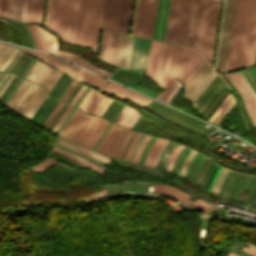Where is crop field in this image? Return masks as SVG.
Instances as JSON below:
<instances>
[{"label": "crop field", "instance_id": "obj_1", "mask_svg": "<svg viewBox=\"0 0 256 256\" xmlns=\"http://www.w3.org/2000/svg\"><path fill=\"white\" fill-rule=\"evenodd\" d=\"M255 52L256 0H238L227 71L254 65Z\"/></svg>", "mask_w": 256, "mask_h": 256}, {"label": "crop field", "instance_id": "obj_2", "mask_svg": "<svg viewBox=\"0 0 256 256\" xmlns=\"http://www.w3.org/2000/svg\"><path fill=\"white\" fill-rule=\"evenodd\" d=\"M202 1H170L164 41L196 45Z\"/></svg>", "mask_w": 256, "mask_h": 256}, {"label": "crop field", "instance_id": "obj_3", "mask_svg": "<svg viewBox=\"0 0 256 256\" xmlns=\"http://www.w3.org/2000/svg\"><path fill=\"white\" fill-rule=\"evenodd\" d=\"M80 0H48L44 26L65 41H74Z\"/></svg>", "mask_w": 256, "mask_h": 256}, {"label": "crop field", "instance_id": "obj_4", "mask_svg": "<svg viewBox=\"0 0 256 256\" xmlns=\"http://www.w3.org/2000/svg\"><path fill=\"white\" fill-rule=\"evenodd\" d=\"M104 0H81L75 45L96 52Z\"/></svg>", "mask_w": 256, "mask_h": 256}, {"label": "crop field", "instance_id": "obj_5", "mask_svg": "<svg viewBox=\"0 0 256 256\" xmlns=\"http://www.w3.org/2000/svg\"><path fill=\"white\" fill-rule=\"evenodd\" d=\"M222 1L204 0L196 49L212 65ZM208 62V63H209Z\"/></svg>", "mask_w": 256, "mask_h": 256}, {"label": "crop field", "instance_id": "obj_6", "mask_svg": "<svg viewBox=\"0 0 256 256\" xmlns=\"http://www.w3.org/2000/svg\"><path fill=\"white\" fill-rule=\"evenodd\" d=\"M196 50L165 43L158 85L165 89L168 77L182 81Z\"/></svg>", "mask_w": 256, "mask_h": 256}, {"label": "crop field", "instance_id": "obj_7", "mask_svg": "<svg viewBox=\"0 0 256 256\" xmlns=\"http://www.w3.org/2000/svg\"><path fill=\"white\" fill-rule=\"evenodd\" d=\"M237 0H226L215 69L226 73Z\"/></svg>", "mask_w": 256, "mask_h": 256}, {"label": "crop field", "instance_id": "obj_8", "mask_svg": "<svg viewBox=\"0 0 256 256\" xmlns=\"http://www.w3.org/2000/svg\"><path fill=\"white\" fill-rule=\"evenodd\" d=\"M29 83H30V81L24 79V81L22 82V84L20 85V87L18 88V90L16 91V93L14 94L12 99L10 100V102L8 103L7 106L9 108H11L13 111L16 112L19 105L22 103V101L24 100L26 95L29 93V91L33 87L34 83H31L30 87L26 91L25 89L27 88ZM24 90L26 91V93L24 94V96L22 97L20 102L17 104V106L14 108V106L18 102V100H19L20 96L22 95V93L24 92ZM47 93L48 92L45 89H43L42 87H40L38 85H35V87L32 89V91L30 92L28 97L25 99V101L23 102L21 107L18 109L17 113L25 118L30 119V117L33 115V113L35 112L37 107L40 105V103L42 102L44 97L47 95Z\"/></svg>", "mask_w": 256, "mask_h": 256}, {"label": "crop field", "instance_id": "obj_9", "mask_svg": "<svg viewBox=\"0 0 256 256\" xmlns=\"http://www.w3.org/2000/svg\"><path fill=\"white\" fill-rule=\"evenodd\" d=\"M158 0H137L132 35L152 39Z\"/></svg>", "mask_w": 256, "mask_h": 256}, {"label": "crop field", "instance_id": "obj_10", "mask_svg": "<svg viewBox=\"0 0 256 256\" xmlns=\"http://www.w3.org/2000/svg\"><path fill=\"white\" fill-rule=\"evenodd\" d=\"M97 120L98 118L84 114L76 108L60 136L82 144Z\"/></svg>", "mask_w": 256, "mask_h": 256}, {"label": "crop field", "instance_id": "obj_11", "mask_svg": "<svg viewBox=\"0 0 256 256\" xmlns=\"http://www.w3.org/2000/svg\"><path fill=\"white\" fill-rule=\"evenodd\" d=\"M216 75L209 64L202 59L184 91L185 98L193 102Z\"/></svg>", "mask_w": 256, "mask_h": 256}, {"label": "crop field", "instance_id": "obj_12", "mask_svg": "<svg viewBox=\"0 0 256 256\" xmlns=\"http://www.w3.org/2000/svg\"><path fill=\"white\" fill-rule=\"evenodd\" d=\"M60 75L61 72L39 61H36L32 69L26 76V79H29L41 86H44L49 92V90L54 85Z\"/></svg>", "mask_w": 256, "mask_h": 256}, {"label": "crop field", "instance_id": "obj_13", "mask_svg": "<svg viewBox=\"0 0 256 256\" xmlns=\"http://www.w3.org/2000/svg\"><path fill=\"white\" fill-rule=\"evenodd\" d=\"M151 40L136 38L134 37L131 60H130V70H134L137 72L143 71L145 74L149 48H150Z\"/></svg>", "mask_w": 256, "mask_h": 256}, {"label": "crop field", "instance_id": "obj_14", "mask_svg": "<svg viewBox=\"0 0 256 256\" xmlns=\"http://www.w3.org/2000/svg\"><path fill=\"white\" fill-rule=\"evenodd\" d=\"M128 130L112 124L96 151L101 152L110 157H115L119 144Z\"/></svg>", "mask_w": 256, "mask_h": 256}, {"label": "crop field", "instance_id": "obj_15", "mask_svg": "<svg viewBox=\"0 0 256 256\" xmlns=\"http://www.w3.org/2000/svg\"><path fill=\"white\" fill-rule=\"evenodd\" d=\"M26 27L29 29L34 38L35 49L46 51L58 56L55 36L36 25H26Z\"/></svg>", "mask_w": 256, "mask_h": 256}, {"label": "crop field", "instance_id": "obj_16", "mask_svg": "<svg viewBox=\"0 0 256 256\" xmlns=\"http://www.w3.org/2000/svg\"><path fill=\"white\" fill-rule=\"evenodd\" d=\"M238 91L239 95L242 98L245 110L254 126L256 128V101L249 93L248 89L236 75V73L226 74L224 76ZM248 101V103H246Z\"/></svg>", "mask_w": 256, "mask_h": 256}, {"label": "crop field", "instance_id": "obj_17", "mask_svg": "<svg viewBox=\"0 0 256 256\" xmlns=\"http://www.w3.org/2000/svg\"><path fill=\"white\" fill-rule=\"evenodd\" d=\"M102 96L103 95H101L97 91H95V90L90 88V90L88 91L86 96L83 98V100L81 101V103L79 104L78 107L80 109H82L83 111H85V112L93 113V114L101 117V115L103 114V112L105 111V109L107 108L109 103L111 102V99H109V98H107L105 96L100 101ZM99 101H100V103H99ZM103 103H104V105H103ZM100 107H101V109H100ZM97 111H98V113H97Z\"/></svg>", "mask_w": 256, "mask_h": 256}, {"label": "crop field", "instance_id": "obj_18", "mask_svg": "<svg viewBox=\"0 0 256 256\" xmlns=\"http://www.w3.org/2000/svg\"><path fill=\"white\" fill-rule=\"evenodd\" d=\"M120 0H105L101 29L116 32Z\"/></svg>", "mask_w": 256, "mask_h": 256}, {"label": "crop field", "instance_id": "obj_19", "mask_svg": "<svg viewBox=\"0 0 256 256\" xmlns=\"http://www.w3.org/2000/svg\"><path fill=\"white\" fill-rule=\"evenodd\" d=\"M102 91L110 93L112 95L124 98L126 100H129L131 102H134L140 106L146 105L148 102L151 101V99L142 96L136 92H133L131 90H128L124 87H121L119 85L113 84L109 82L103 89Z\"/></svg>", "mask_w": 256, "mask_h": 256}, {"label": "crop field", "instance_id": "obj_20", "mask_svg": "<svg viewBox=\"0 0 256 256\" xmlns=\"http://www.w3.org/2000/svg\"><path fill=\"white\" fill-rule=\"evenodd\" d=\"M163 45L164 43L162 42L154 40L151 42L146 75L152 78L156 83L158 81Z\"/></svg>", "mask_w": 256, "mask_h": 256}, {"label": "crop field", "instance_id": "obj_21", "mask_svg": "<svg viewBox=\"0 0 256 256\" xmlns=\"http://www.w3.org/2000/svg\"><path fill=\"white\" fill-rule=\"evenodd\" d=\"M23 52L35 57V58H38L50 65H52L53 67L67 73L68 75L72 76V77H75L77 75V73L81 70L75 66H72L66 62H63L61 60H58L56 58H53V57H50L48 55H45V54H42V53H39V52H35V51H31V50H26V49H22L20 48Z\"/></svg>", "mask_w": 256, "mask_h": 256}, {"label": "crop field", "instance_id": "obj_22", "mask_svg": "<svg viewBox=\"0 0 256 256\" xmlns=\"http://www.w3.org/2000/svg\"><path fill=\"white\" fill-rule=\"evenodd\" d=\"M222 79L217 75L215 79L208 85V87L201 93V95L196 99V101L193 103V108L198 109L199 106L205 101V99L212 93V91L216 88V86L219 84V82ZM224 82L221 81V83L218 85V87L213 91V93L207 98V100L200 106V108L197 110L199 114L202 113V111L205 109V107L209 104V102L213 99V97L222 89L224 86Z\"/></svg>", "mask_w": 256, "mask_h": 256}, {"label": "crop field", "instance_id": "obj_23", "mask_svg": "<svg viewBox=\"0 0 256 256\" xmlns=\"http://www.w3.org/2000/svg\"><path fill=\"white\" fill-rule=\"evenodd\" d=\"M133 0H122L117 32L128 34Z\"/></svg>", "mask_w": 256, "mask_h": 256}, {"label": "crop field", "instance_id": "obj_24", "mask_svg": "<svg viewBox=\"0 0 256 256\" xmlns=\"http://www.w3.org/2000/svg\"><path fill=\"white\" fill-rule=\"evenodd\" d=\"M57 143L62 144L64 146H66V147H69V148H71V149H73V150H75V151H77V152H79L81 154H84V155H86V156H88L90 158H93V159H96L98 161L104 162L106 164H108L109 161H110L109 158H107V157H105V156H103V155H101V154H99V153H97V152H95L93 150H90L88 148L80 146V145H78L76 143H73L71 141L63 139L61 137L58 138Z\"/></svg>", "mask_w": 256, "mask_h": 256}, {"label": "crop field", "instance_id": "obj_25", "mask_svg": "<svg viewBox=\"0 0 256 256\" xmlns=\"http://www.w3.org/2000/svg\"><path fill=\"white\" fill-rule=\"evenodd\" d=\"M133 37L122 35L117 65L128 69Z\"/></svg>", "mask_w": 256, "mask_h": 256}, {"label": "crop field", "instance_id": "obj_26", "mask_svg": "<svg viewBox=\"0 0 256 256\" xmlns=\"http://www.w3.org/2000/svg\"><path fill=\"white\" fill-rule=\"evenodd\" d=\"M108 125L109 122H105V120L99 118V120L97 121V123L95 124V126L83 142V145L93 149V147L95 146V144L97 143V141L99 140V138L101 137V135L103 134Z\"/></svg>", "mask_w": 256, "mask_h": 256}, {"label": "crop field", "instance_id": "obj_27", "mask_svg": "<svg viewBox=\"0 0 256 256\" xmlns=\"http://www.w3.org/2000/svg\"><path fill=\"white\" fill-rule=\"evenodd\" d=\"M138 117L137 111L125 105L114 120V123L131 128Z\"/></svg>", "mask_w": 256, "mask_h": 256}, {"label": "crop field", "instance_id": "obj_28", "mask_svg": "<svg viewBox=\"0 0 256 256\" xmlns=\"http://www.w3.org/2000/svg\"><path fill=\"white\" fill-rule=\"evenodd\" d=\"M59 55H60L61 58L65 59L69 62H72L76 65H79V66L84 67L86 69H89L91 71L97 72L99 74H102V75H104L108 78L111 76L110 73H107L105 71H102V70L90 65L89 63L86 62V60L80 58V56H78V55L69 54V53H66V52H63V51H59Z\"/></svg>", "mask_w": 256, "mask_h": 256}, {"label": "crop field", "instance_id": "obj_29", "mask_svg": "<svg viewBox=\"0 0 256 256\" xmlns=\"http://www.w3.org/2000/svg\"><path fill=\"white\" fill-rule=\"evenodd\" d=\"M25 7L26 0H10L7 18L23 22Z\"/></svg>", "mask_w": 256, "mask_h": 256}, {"label": "crop field", "instance_id": "obj_30", "mask_svg": "<svg viewBox=\"0 0 256 256\" xmlns=\"http://www.w3.org/2000/svg\"><path fill=\"white\" fill-rule=\"evenodd\" d=\"M168 140L157 138L154 144L149 149L144 164L154 166L157 159Z\"/></svg>", "mask_w": 256, "mask_h": 256}, {"label": "crop field", "instance_id": "obj_31", "mask_svg": "<svg viewBox=\"0 0 256 256\" xmlns=\"http://www.w3.org/2000/svg\"><path fill=\"white\" fill-rule=\"evenodd\" d=\"M180 88L181 85L177 80L169 78L166 89L156 98L169 104L174 96L177 94V92L180 90Z\"/></svg>", "mask_w": 256, "mask_h": 256}, {"label": "crop field", "instance_id": "obj_32", "mask_svg": "<svg viewBox=\"0 0 256 256\" xmlns=\"http://www.w3.org/2000/svg\"><path fill=\"white\" fill-rule=\"evenodd\" d=\"M77 80L97 87L99 89H101L108 82V80L91 74L85 70L81 72V74L77 77Z\"/></svg>", "mask_w": 256, "mask_h": 256}, {"label": "crop field", "instance_id": "obj_33", "mask_svg": "<svg viewBox=\"0 0 256 256\" xmlns=\"http://www.w3.org/2000/svg\"><path fill=\"white\" fill-rule=\"evenodd\" d=\"M17 50L16 47L2 44L0 47V71L4 69Z\"/></svg>", "mask_w": 256, "mask_h": 256}, {"label": "crop field", "instance_id": "obj_34", "mask_svg": "<svg viewBox=\"0 0 256 256\" xmlns=\"http://www.w3.org/2000/svg\"><path fill=\"white\" fill-rule=\"evenodd\" d=\"M111 35L112 33L104 32V31H102V34H101L98 57L105 61H107L108 59Z\"/></svg>", "mask_w": 256, "mask_h": 256}, {"label": "crop field", "instance_id": "obj_35", "mask_svg": "<svg viewBox=\"0 0 256 256\" xmlns=\"http://www.w3.org/2000/svg\"><path fill=\"white\" fill-rule=\"evenodd\" d=\"M120 38H121V35L113 33L108 62L115 65L117 62Z\"/></svg>", "mask_w": 256, "mask_h": 256}, {"label": "crop field", "instance_id": "obj_36", "mask_svg": "<svg viewBox=\"0 0 256 256\" xmlns=\"http://www.w3.org/2000/svg\"><path fill=\"white\" fill-rule=\"evenodd\" d=\"M201 58L202 57L199 55V53L196 52V54H195V56H194V58H193V60L190 64V67H189V69H188V71H187V73H186V75H185V77L182 81L184 87L187 84L188 80L190 79L191 75L193 74V72H194L195 68L197 67L198 63L200 62Z\"/></svg>", "mask_w": 256, "mask_h": 256}, {"label": "crop field", "instance_id": "obj_37", "mask_svg": "<svg viewBox=\"0 0 256 256\" xmlns=\"http://www.w3.org/2000/svg\"><path fill=\"white\" fill-rule=\"evenodd\" d=\"M53 149L56 150V151H59V152H61V153H64V154H66V155H69V156H71V157H73V158H75V159H77V160H80V161H82V162H84V163H86V164H88V165H90V166H93V167H95V168H97V169H99V170H101V171L103 170V168H100V167H98V166H96V165H94V164H92V163H90V162H88V161H86V160H84V159H82V158H80V157H78V156H76V155L70 153V152H67V151H65V150H63V149H60V148H58V147H56V146H54Z\"/></svg>", "mask_w": 256, "mask_h": 256}, {"label": "crop field", "instance_id": "obj_38", "mask_svg": "<svg viewBox=\"0 0 256 256\" xmlns=\"http://www.w3.org/2000/svg\"><path fill=\"white\" fill-rule=\"evenodd\" d=\"M231 97H232L231 94H229L225 98V100L219 105L218 109L216 110V112L213 114V116L210 118L209 121L212 122L217 117V115L222 111V109L224 108V106L227 104V102L230 100Z\"/></svg>", "mask_w": 256, "mask_h": 256}, {"label": "crop field", "instance_id": "obj_39", "mask_svg": "<svg viewBox=\"0 0 256 256\" xmlns=\"http://www.w3.org/2000/svg\"><path fill=\"white\" fill-rule=\"evenodd\" d=\"M9 0L0 1V17L6 18Z\"/></svg>", "mask_w": 256, "mask_h": 256}, {"label": "crop field", "instance_id": "obj_40", "mask_svg": "<svg viewBox=\"0 0 256 256\" xmlns=\"http://www.w3.org/2000/svg\"><path fill=\"white\" fill-rule=\"evenodd\" d=\"M235 102V100L233 99V97L231 98V100L228 102V104L226 105V107L223 109V111L220 113V115L215 119L214 123H218L219 120L227 113V111L230 109V107L233 105V103Z\"/></svg>", "mask_w": 256, "mask_h": 256}, {"label": "crop field", "instance_id": "obj_41", "mask_svg": "<svg viewBox=\"0 0 256 256\" xmlns=\"http://www.w3.org/2000/svg\"><path fill=\"white\" fill-rule=\"evenodd\" d=\"M169 1L170 0H166L164 19H163V25H162V31H161V37H160V40H162V41H163V38H164V32H165V26H166V20H167V13H168V7H169Z\"/></svg>", "mask_w": 256, "mask_h": 256}, {"label": "crop field", "instance_id": "obj_42", "mask_svg": "<svg viewBox=\"0 0 256 256\" xmlns=\"http://www.w3.org/2000/svg\"><path fill=\"white\" fill-rule=\"evenodd\" d=\"M151 138V136L147 135V137L144 139V141L141 143L136 155H135V158H134V162H139V158H140V154L145 146V144L149 141V139Z\"/></svg>", "mask_w": 256, "mask_h": 256}, {"label": "crop field", "instance_id": "obj_43", "mask_svg": "<svg viewBox=\"0 0 256 256\" xmlns=\"http://www.w3.org/2000/svg\"><path fill=\"white\" fill-rule=\"evenodd\" d=\"M161 5H162V0H159V5H158L157 18H156V24H155V30H154L153 39H156V36H157V30H158V24H159V18H160Z\"/></svg>", "mask_w": 256, "mask_h": 256}, {"label": "crop field", "instance_id": "obj_44", "mask_svg": "<svg viewBox=\"0 0 256 256\" xmlns=\"http://www.w3.org/2000/svg\"><path fill=\"white\" fill-rule=\"evenodd\" d=\"M140 135H141V133H137V134L133 137V139H132V141H131V143H130V145H129V147H128L127 153H126V155H125V158H124L125 160H128V159H129L130 151H131L133 145L135 144L136 140L139 138Z\"/></svg>", "mask_w": 256, "mask_h": 256}, {"label": "crop field", "instance_id": "obj_45", "mask_svg": "<svg viewBox=\"0 0 256 256\" xmlns=\"http://www.w3.org/2000/svg\"><path fill=\"white\" fill-rule=\"evenodd\" d=\"M63 105V102H60V104L57 106V108L55 109V111L52 113V115L49 117V119L47 120V122L45 123V125L43 126V128L47 129V127L49 126V124L51 123V121L53 120V118L55 117V115L57 114V112L59 111V109L61 108V106Z\"/></svg>", "mask_w": 256, "mask_h": 256}, {"label": "crop field", "instance_id": "obj_46", "mask_svg": "<svg viewBox=\"0 0 256 256\" xmlns=\"http://www.w3.org/2000/svg\"><path fill=\"white\" fill-rule=\"evenodd\" d=\"M72 106V105H71ZM71 106L68 105V107L66 108V110L64 111V113L62 114V116L60 117V119L58 120V122L56 123V125L54 126V128L52 129V132L55 133V131L57 130V128L59 127V125L61 124V122L63 121V119L65 118V116L67 115V113L69 112V110L71 109Z\"/></svg>", "mask_w": 256, "mask_h": 256}, {"label": "crop field", "instance_id": "obj_47", "mask_svg": "<svg viewBox=\"0 0 256 256\" xmlns=\"http://www.w3.org/2000/svg\"><path fill=\"white\" fill-rule=\"evenodd\" d=\"M222 170H223V168H222ZM222 170H221V172H222ZM225 171H226V168L224 169L222 175L225 173ZM228 171H229V169L227 170V172H228ZM221 172H220V174H221ZM227 172L224 174L223 179H224L225 175L227 174ZM220 174H219V176H220ZM222 175H221V177H220V179H219L217 185L215 186V184H216V182H217V180H218V178H219V176H218V178H217V180H216V182H215V184H214L215 188H214V186H213L214 190H213V188H212L213 192H212V190H211L212 193H215V191H216V189H217V187H218V185H219V183H220V181H221ZM223 179H222V182H223ZM222 182H221V184H222ZM221 184H220V186H219V188L217 189V191H216L215 194H217V192L219 191V189H220V187H221Z\"/></svg>", "mask_w": 256, "mask_h": 256}, {"label": "crop field", "instance_id": "obj_48", "mask_svg": "<svg viewBox=\"0 0 256 256\" xmlns=\"http://www.w3.org/2000/svg\"><path fill=\"white\" fill-rule=\"evenodd\" d=\"M52 152L57 153V154H59V155H61V156H63V157H66V158H68V159H71V160H73V161H75V162H77V163H79V164H82V165H84V166H86V167H89V168H91V170H93V171L98 172V173L101 174V171H99V170H97V169H95V168H93V167H90V166H88V165H86V164H84V163H82V162H80V161H77V160H75V159H73V158H71V157H69V156H66V155H64V154H61V153L56 152V151H54V150H52Z\"/></svg>", "mask_w": 256, "mask_h": 256}, {"label": "crop field", "instance_id": "obj_49", "mask_svg": "<svg viewBox=\"0 0 256 256\" xmlns=\"http://www.w3.org/2000/svg\"><path fill=\"white\" fill-rule=\"evenodd\" d=\"M229 91H231L229 88L226 90V92L223 94V96L220 98V100L217 102V104L214 106V108L211 110V112L208 114L207 118H209L212 113L215 111V109L218 107V105L224 100V98L229 94Z\"/></svg>", "mask_w": 256, "mask_h": 256}, {"label": "crop field", "instance_id": "obj_50", "mask_svg": "<svg viewBox=\"0 0 256 256\" xmlns=\"http://www.w3.org/2000/svg\"><path fill=\"white\" fill-rule=\"evenodd\" d=\"M195 154V151L192 150V152L190 153V155L188 156V158L186 159L183 167H182V170H181V175H184L185 171H186V168L190 162V160L192 159L193 155Z\"/></svg>", "mask_w": 256, "mask_h": 256}, {"label": "crop field", "instance_id": "obj_51", "mask_svg": "<svg viewBox=\"0 0 256 256\" xmlns=\"http://www.w3.org/2000/svg\"><path fill=\"white\" fill-rule=\"evenodd\" d=\"M237 74L240 76V78L242 79V81L244 82V84L247 86V88L249 89V91L251 92V94L253 95V97L256 100V94L254 93V91L252 90V88L250 87V85L248 84V82L246 81L245 77L243 76V74L241 73V71L237 72Z\"/></svg>", "mask_w": 256, "mask_h": 256}, {"label": "crop field", "instance_id": "obj_52", "mask_svg": "<svg viewBox=\"0 0 256 256\" xmlns=\"http://www.w3.org/2000/svg\"><path fill=\"white\" fill-rule=\"evenodd\" d=\"M132 133H133V131L129 130L128 134L126 135V137H125V139H124V141H123V143H122V145H121V147H120V150H119V153H118L117 158H120V157H121V154H122V152H123L124 146H125V144H126L128 138H129V136H130ZM130 137H131V136H130Z\"/></svg>", "mask_w": 256, "mask_h": 256}, {"label": "crop field", "instance_id": "obj_53", "mask_svg": "<svg viewBox=\"0 0 256 256\" xmlns=\"http://www.w3.org/2000/svg\"><path fill=\"white\" fill-rule=\"evenodd\" d=\"M78 84V81L75 80V82L73 83V85L70 87V89L68 90V92L66 93V95L63 97V101L66 102V100L68 99V97L70 96V94L72 93V91L74 90V88L76 87V85Z\"/></svg>", "mask_w": 256, "mask_h": 256}, {"label": "crop field", "instance_id": "obj_54", "mask_svg": "<svg viewBox=\"0 0 256 256\" xmlns=\"http://www.w3.org/2000/svg\"><path fill=\"white\" fill-rule=\"evenodd\" d=\"M183 145H180V147L177 149V151L174 153L173 157L171 158L170 162H169V165H168V168L167 170H171V167H172V163H173V160L174 158L176 157V155L179 153V151L182 149Z\"/></svg>", "mask_w": 256, "mask_h": 256}, {"label": "crop field", "instance_id": "obj_55", "mask_svg": "<svg viewBox=\"0 0 256 256\" xmlns=\"http://www.w3.org/2000/svg\"><path fill=\"white\" fill-rule=\"evenodd\" d=\"M243 251H245V252H247V253H250V254L256 256V248H255L253 245H251V244H250V246H249V249H247V248L244 247Z\"/></svg>", "mask_w": 256, "mask_h": 256}, {"label": "crop field", "instance_id": "obj_56", "mask_svg": "<svg viewBox=\"0 0 256 256\" xmlns=\"http://www.w3.org/2000/svg\"><path fill=\"white\" fill-rule=\"evenodd\" d=\"M230 251L235 253V254H238L240 256H252V255H249V254H247V253H245L243 251H240V250H238V249H236L234 247H232Z\"/></svg>", "mask_w": 256, "mask_h": 256}, {"label": "crop field", "instance_id": "obj_57", "mask_svg": "<svg viewBox=\"0 0 256 256\" xmlns=\"http://www.w3.org/2000/svg\"><path fill=\"white\" fill-rule=\"evenodd\" d=\"M84 89H85V86L83 85L82 88L78 91V93L75 95V97H74L73 100L71 101V104L74 105V103L76 102V100H77L78 97L81 95V93L83 92Z\"/></svg>", "mask_w": 256, "mask_h": 256}, {"label": "crop field", "instance_id": "obj_58", "mask_svg": "<svg viewBox=\"0 0 256 256\" xmlns=\"http://www.w3.org/2000/svg\"><path fill=\"white\" fill-rule=\"evenodd\" d=\"M235 175H236V172L233 173V175H232V177H231V179H230V181H229V183H228V186H227V188H226V190H225V192H224V194H223V197L225 196L226 192L228 191V189H229V187H230V185H231V183H232V181H233Z\"/></svg>", "mask_w": 256, "mask_h": 256}, {"label": "crop field", "instance_id": "obj_59", "mask_svg": "<svg viewBox=\"0 0 256 256\" xmlns=\"http://www.w3.org/2000/svg\"><path fill=\"white\" fill-rule=\"evenodd\" d=\"M206 160H207V159H206ZM208 160H209V159H208ZM208 160H207V162H208ZM210 161H211V160H210ZM210 161H209L208 163L205 161V162L207 163V165L204 163L206 166H205V168H204V170H203V174H204L205 170L207 169V166H208V164L210 163ZM204 164H203V166H204ZM203 166H202V168H203ZM202 168H201V169H202ZM200 172H201V170H200ZM200 172H199V174H200ZM201 173H202V172H201ZM203 174H202V176H203ZM200 175H201V174H200ZM198 176H199V175H198ZM202 176H201V178H202ZM199 177H200V176H199ZM197 178H198V177H197ZM201 178H200V180H201ZM198 179H199V178H198ZM196 180H197V179H196ZM200 180H199V182H200ZM199 182H198V184H199Z\"/></svg>", "mask_w": 256, "mask_h": 256}, {"label": "crop field", "instance_id": "obj_60", "mask_svg": "<svg viewBox=\"0 0 256 256\" xmlns=\"http://www.w3.org/2000/svg\"><path fill=\"white\" fill-rule=\"evenodd\" d=\"M248 191H249V189H248V188H245V190H244V192H243V194H242V196H241V198H240L241 201H244V199H245V197H246Z\"/></svg>", "mask_w": 256, "mask_h": 256}, {"label": "crop field", "instance_id": "obj_61", "mask_svg": "<svg viewBox=\"0 0 256 256\" xmlns=\"http://www.w3.org/2000/svg\"><path fill=\"white\" fill-rule=\"evenodd\" d=\"M52 154V153H51ZM51 154H49L48 156H50V157H53V158H56V159H59V158H62V159H64V160H67V161H70V160H68V159H66V158H63V157H61V156H58V155H56V154H53V155H55V156H57V157H59V158H57V157H55V156H53V155H51ZM62 159H59V160H62ZM63 160V161H64ZM66 161V162H67ZM70 162H72V161H70ZM73 163V162H72Z\"/></svg>", "mask_w": 256, "mask_h": 256}, {"label": "crop field", "instance_id": "obj_62", "mask_svg": "<svg viewBox=\"0 0 256 256\" xmlns=\"http://www.w3.org/2000/svg\"><path fill=\"white\" fill-rule=\"evenodd\" d=\"M226 90V88L224 89V91ZM224 91L220 94V96L224 93ZM219 96V97H220ZM219 97L214 101V103L209 107V109L206 111V113L204 114V117L206 116V114L209 112V110L212 108V106L215 104V102L219 99Z\"/></svg>", "mask_w": 256, "mask_h": 256}, {"label": "crop field", "instance_id": "obj_63", "mask_svg": "<svg viewBox=\"0 0 256 256\" xmlns=\"http://www.w3.org/2000/svg\"><path fill=\"white\" fill-rule=\"evenodd\" d=\"M225 87H226V85L223 87V89H224ZM223 89H222V90H223ZM222 90H221V91H222ZM221 91H220L216 96H218V95L221 93ZM215 99H216V98H214V99L212 100V102H213ZM212 102L210 103V105L212 104ZM210 105H209V106H210ZM209 106H208V107H209ZM208 107H207V108H208ZM206 110H207V109H206ZM206 110H205V111H206ZM205 111H204V112H205ZM203 114H204V113H203ZM203 114H202V115H203Z\"/></svg>", "mask_w": 256, "mask_h": 256}, {"label": "crop field", "instance_id": "obj_64", "mask_svg": "<svg viewBox=\"0 0 256 256\" xmlns=\"http://www.w3.org/2000/svg\"><path fill=\"white\" fill-rule=\"evenodd\" d=\"M213 164H214V162H213ZM213 164H212V166L210 167V169H209V171H208V173H207V175H206L205 178H207L208 174L210 173V171H211V169H212V167H213ZM204 182H205V180H204ZM204 182H203V184H204ZM203 184H202V186H203Z\"/></svg>", "mask_w": 256, "mask_h": 256}, {"label": "crop field", "instance_id": "obj_65", "mask_svg": "<svg viewBox=\"0 0 256 256\" xmlns=\"http://www.w3.org/2000/svg\"><path fill=\"white\" fill-rule=\"evenodd\" d=\"M227 256H238V255H235V254L229 252V254Z\"/></svg>", "mask_w": 256, "mask_h": 256}, {"label": "crop field", "instance_id": "obj_66", "mask_svg": "<svg viewBox=\"0 0 256 256\" xmlns=\"http://www.w3.org/2000/svg\"><path fill=\"white\" fill-rule=\"evenodd\" d=\"M246 72L248 73V75L250 76V78L252 79V81L254 82L252 76L249 74V72L246 70ZM254 84L256 85V83L254 82Z\"/></svg>", "mask_w": 256, "mask_h": 256}, {"label": "crop field", "instance_id": "obj_67", "mask_svg": "<svg viewBox=\"0 0 256 256\" xmlns=\"http://www.w3.org/2000/svg\"><path fill=\"white\" fill-rule=\"evenodd\" d=\"M0 46H1V43H0Z\"/></svg>", "mask_w": 256, "mask_h": 256}, {"label": "crop field", "instance_id": "obj_68", "mask_svg": "<svg viewBox=\"0 0 256 256\" xmlns=\"http://www.w3.org/2000/svg\"><path fill=\"white\" fill-rule=\"evenodd\" d=\"M0 75H1V73H0Z\"/></svg>", "mask_w": 256, "mask_h": 256}]
</instances>
